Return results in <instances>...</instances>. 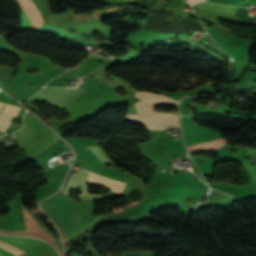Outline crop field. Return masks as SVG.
<instances>
[{
  "label": "crop field",
  "mask_w": 256,
  "mask_h": 256,
  "mask_svg": "<svg viewBox=\"0 0 256 256\" xmlns=\"http://www.w3.org/2000/svg\"><path fill=\"white\" fill-rule=\"evenodd\" d=\"M142 101L135 104L138 116L127 115L126 120L145 124L147 130H165L170 126L180 127L178 115L153 113L152 108L160 104L177 103L173 100L150 92H137Z\"/></svg>",
  "instance_id": "crop-field-1"
},
{
  "label": "crop field",
  "mask_w": 256,
  "mask_h": 256,
  "mask_svg": "<svg viewBox=\"0 0 256 256\" xmlns=\"http://www.w3.org/2000/svg\"><path fill=\"white\" fill-rule=\"evenodd\" d=\"M87 148L104 165H108V164L113 163L111 160H109L104 155L103 151L100 150L101 146H93V147H87ZM87 175H88V169H79V171L76 174L71 175L63 195H69L72 188L82 184L81 193L79 194L80 198H84V199H103V197H107L106 195L88 194L87 184H86Z\"/></svg>",
  "instance_id": "crop-field-2"
},
{
  "label": "crop field",
  "mask_w": 256,
  "mask_h": 256,
  "mask_svg": "<svg viewBox=\"0 0 256 256\" xmlns=\"http://www.w3.org/2000/svg\"><path fill=\"white\" fill-rule=\"evenodd\" d=\"M17 2L19 6H21L26 12L28 18L30 19L36 30L41 27L44 21L37 9L35 8L34 4L30 0H17Z\"/></svg>",
  "instance_id": "crop-field-3"
},
{
  "label": "crop field",
  "mask_w": 256,
  "mask_h": 256,
  "mask_svg": "<svg viewBox=\"0 0 256 256\" xmlns=\"http://www.w3.org/2000/svg\"><path fill=\"white\" fill-rule=\"evenodd\" d=\"M197 8L236 15V7L201 3Z\"/></svg>",
  "instance_id": "crop-field-4"
},
{
  "label": "crop field",
  "mask_w": 256,
  "mask_h": 256,
  "mask_svg": "<svg viewBox=\"0 0 256 256\" xmlns=\"http://www.w3.org/2000/svg\"><path fill=\"white\" fill-rule=\"evenodd\" d=\"M0 50L12 52V53L18 55L22 60L27 56V54H25V53H23V52H21L17 49H14V48L10 47L6 43L3 35H0Z\"/></svg>",
  "instance_id": "crop-field-5"
},
{
  "label": "crop field",
  "mask_w": 256,
  "mask_h": 256,
  "mask_svg": "<svg viewBox=\"0 0 256 256\" xmlns=\"http://www.w3.org/2000/svg\"><path fill=\"white\" fill-rule=\"evenodd\" d=\"M0 247H2V248H4V249H6V250L12 252L15 256H19V255H21V254H23V253L28 252V251H26V250H24V249H21V248H19V247H16V246H14V245H12V244H9V243H7V242H5V241H2V240H0Z\"/></svg>",
  "instance_id": "crop-field-6"
},
{
  "label": "crop field",
  "mask_w": 256,
  "mask_h": 256,
  "mask_svg": "<svg viewBox=\"0 0 256 256\" xmlns=\"http://www.w3.org/2000/svg\"><path fill=\"white\" fill-rule=\"evenodd\" d=\"M144 30L148 31V32H152V33L158 34V35H162V36H165V37L169 36V35H166V34H163V33H160V32H157V31L145 28V27H144Z\"/></svg>",
  "instance_id": "crop-field-7"
},
{
  "label": "crop field",
  "mask_w": 256,
  "mask_h": 256,
  "mask_svg": "<svg viewBox=\"0 0 256 256\" xmlns=\"http://www.w3.org/2000/svg\"><path fill=\"white\" fill-rule=\"evenodd\" d=\"M0 256H2V255H0Z\"/></svg>",
  "instance_id": "crop-field-8"
}]
</instances>
